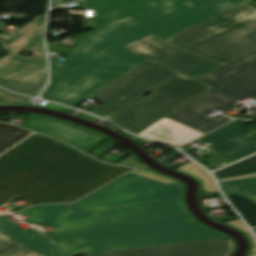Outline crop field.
I'll return each instance as SVG.
<instances>
[{"label": "crop field", "mask_w": 256, "mask_h": 256, "mask_svg": "<svg viewBox=\"0 0 256 256\" xmlns=\"http://www.w3.org/2000/svg\"><path fill=\"white\" fill-rule=\"evenodd\" d=\"M19 214L29 224L52 228L47 234L65 256L227 237L191 218L182 184L131 173L71 206H39Z\"/></svg>", "instance_id": "8a807250"}, {"label": "crop field", "mask_w": 256, "mask_h": 256, "mask_svg": "<svg viewBox=\"0 0 256 256\" xmlns=\"http://www.w3.org/2000/svg\"><path fill=\"white\" fill-rule=\"evenodd\" d=\"M82 8H95L94 30L42 96L72 107L147 59L122 46L150 34L164 40L204 21L194 0L173 7L165 0H83Z\"/></svg>", "instance_id": "ac0d7876"}, {"label": "crop field", "mask_w": 256, "mask_h": 256, "mask_svg": "<svg viewBox=\"0 0 256 256\" xmlns=\"http://www.w3.org/2000/svg\"><path fill=\"white\" fill-rule=\"evenodd\" d=\"M130 169L34 133L0 156V202L16 195L33 204L69 203Z\"/></svg>", "instance_id": "34b2d1b8"}, {"label": "crop field", "mask_w": 256, "mask_h": 256, "mask_svg": "<svg viewBox=\"0 0 256 256\" xmlns=\"http://www.w3.org/2000/svg\"><path fill=\"white\" fill-rule=\"evenodd\" d=\"M165 41L226 65L256 51V10L244 2Z\"/></svg>", "instance_id": "412701ff"}, {"label": "crop field", "mask_w": 256, "mask_h": 256, "mask_svg": "<svg viewBox=\"0 0 256 256\" xmlns=\"http://www.w3.org/2000/svg\"><path fill=\"white\" fill-rule=\"evenodd\" d=\"M196 80L213 89L176 109L167 118L205 134L231 119L220 116L211 120L204 113L212 109L223 111L245 96L256 101V52Z\"/></svg>", "instance_id": "f4fd0767"}, {"label": "crop field", "mask_w": 256, "mask_h": 256, "mask_svg": "<svg viewBox=\"0 0 256 256\" xmlns=\"http://www.w3.org/2000/svg\"><path fill=\"white\" fill-rule=\"evenodd\" d=\"M42 25L43 22L37 20L0 43V47L10 53L0 59V86L30 96H36L42 90L47 75L43 44L31 40L41 34ZM24 49L36 57L18 56Z\"/></svg>", "instance_id": "dd49c442"}, {"label": "crop field", "mask_w": 256, "mask_h": 256, "mask_svg": "<svg viewBox=\"0 0 256 256\" xmlns=\"http://www.w3.org/2000/svg\"><path fill=\"white\" fill-rule=\"evenodd\" d=\"M210 89L204 84L179 75L109 120L137 134L176 107Z\"/></svg>", "instance_id": "e52e79f7"}, {"label": "crop field", "mask_w": 256, "mask_h": 256, "mask_svg": "<svg viewBox=\"0 0 256 256\" xmlns=\"http://www.w3.org/2000/svg\"><path fill=\"white\" fill-rule=\"evenodd\" d=\"M176 73L148 59L89 97L103 102L90 112L109 118Z\"/></svg>", "instance_id": "d8731c3e"}, {"label": "crop field", "mask_w": 256, "mask_h": 256, "mask_svg": "<svg viewBox=\"0 0 256 256\" xmlns=\"http://www.w3.org/2000/svg\"><path fill=\"white\" fill-rule=\"evenodd\" d=\"M125 48L153 59L191 78H195L220 66L161 42L151 36L129 44Z\"/></svg>", "instance_id": "5a996713"}, {"label": "crop field", "mask_w": 256, "mask_h": 256, "mask_svg": "<svg viewBox=\"0 0 256 256\" xmlns=\"http://www.w3.org/2000/svg\"><path fill=\"white\" fill-rule=\"evenodd\" d=\"M0 256H64L46 233L0 216Z\"/></svg>", "instance_id": "3316defc"}, {"label": "crop field", "mask_w": 256, "mask_h": 256, "mask_svg": "<svg viewBox=\"0 0 256 256\" xmlns=\"http://www.w3.org/2000/svg\"><path fill=\"white\" fill-rule=\"evenodd\" d=\"M254 119L241 118L228 123L196 142L232 162L256 152V130L245 126Z\"/></svg>", "instance_id": "28ad6ade"}, {"label": "crop field", "mask_w": 256, "mask_h": 256, "mask_svg": "<svg viewBox=\"0 0 256 256\" xmlns=\"http://www.w3.org/2000/svg\"><path fill=\"white\" fill-rule=\"evenodd\" d=\"M232 251L233 243L227 237L90 254L87 256H229Z\"/></svg>", "instance_id": "d1516ede"}, {"label": "crop field", "mask_w": 256, "mask_h": 256, "mask_svg": "<svg viewBox=\"0 0 256 256\" xmlns=\"http://www.w3.org/2000/svg\"><path fill=\"white\" fill-rule=\"evenodd\" d=\"M22 127L60 139L85 152L107 139L95 132L73 124L34 115H31Z\"/></svg>", "instance_id": "22f410ed"}, {"label": "crop field", "mask_w": 256, "mask_h": 256, "mask_svg": "<svg viewBox=\"0 0 256 256\" xmlns=\"http://www.w3.org/2000/svg\"><path fill=\"white\" fill-rule=\"evenodd\" d=\"M138 135L168 144H185L203 134L165 118Z\"/></svg>", "instance_id": "cbeb9de0"}, {"label": "crop field", "mask_w": 256, "mask_h": 256, "mask_svg": "<svg viewBox=\"0 0 256 256\" xmlns=\"http://www.w3.org/2000/svg\"><path fill=\"white\" fill-rule=\"evenodd\" d=\"M183 0H168L169 5L173 6ZM205 19L234 7L246 0H195Z\"/></svg>", "instance_id": "5142ce71"}, {"label": "crop field", "mask_w": 256, "mask_h": 256, "mask_svg": "<svg viewBox=\"0 0 256 256\" xmlns=\"http://www.w3.org/2000/svg\"><path fill=\"white\" fill-rule=\"evenodd\" d=\"M219 184L224 193L235 192L245 194L256 202V177L219 182Z\"/></svg>", "instance_id": "d9b57169"}, {"label": "crop field", "mask_w": 256, "mask_h": 256, "mask_svg": "<svg viewBox=\"0 0 256 256\" xmlns=\"http://www.w3.org/2000/svg\"><path fill=\"white\" fill-rule=\"evenodd\" d=\"M250 227L256 226V203L241 195H226Z\"/></svg>", "instance_id": "733c2abd"}, {"label": "crop field", "mask_w": 256, "mask_h": 256, "mask_svg": "<svg viewBox=\"0 0 256 256\" xmlns=\"http://www.w3.org/2000/svg\"><path fill=\"white\" fill-rule=\"evenodd\" d=\"M31 132L0 123V153L29 135Z\"/></svg>", "instance_id": "4a817a6b"}, {"label": "crop field", "mask_w": 256, "mask_h": 256, "mask_svg": "<svg viewBox=\"0 0 256 256\" xmlns=\"http://www.w3.org/2000/svg\"><path fill=\"white\" fill-rule=\"evenodd\" d=\"M256 172V155L230 167L214 172L218 179Z\"/></svg>", "instance_id": "bc2a9ffb"}, {"label": "crop field", "mask_w": 256, "mask_h": 256, "mask_svg": "<svg viewBox=\"0 0 256 256\" xmlns=\"http://www.w3.org/2000/svg\"><path fill=\"white\" fill-rule=\"evenodd\" d=\"M178 169L186 173H189L191 175H194L197 178H199L201 181H203L205 192L219 193V191L215 186L212 176L208 174L202 167L190 162Z\"/></svg>", "instance_id": "214f88e0"}, {"label": "crop field", "mask_w": 256, "mask_h": 256, "mask_svg": "<svg viewBox=\"0 0 256 256\" xmlns=\"http://www.w3.org/2000/svg\"><path fill=\"white\" fill-rule=\"evenodd\" d=\"M29 98L18 96L0 89V104H22L25 105Z\"/></svg>", "instance_id": "92a150f3"}, {"label": "crop field", "mask_w": 256, "mask_h": 256, "mask_svg": "<svg viewBox=\"0 0 256 256\" xmlns=\"http://www.w3.org/2000/svg\"><path fill=\"white\" fill-rule=\"evenodd\" d=\"M224 223L240 230L241 232H243L245 234H247L250 241H251V245H252V249H251L250 252H256V240L252 236V234L249 232V230L245 227V225L241 222L240 219L233 220V221H228V222H224Z\"/></svg>", "instance_id": "dafd665d"}, {"label": "crop field", "mask_w": 256, "mask_h": 256, "mask_svg": "<svg viewBox=\"0 0 256 256\" xmlns=\"http://www.w3.org/2000/svg\"><path fill=\"white\" fill-rule=\"evenodd\" d=\"M74 46L62 45V44H48V50L69 53L72 54Z\"/></svg>", "instance_id": "00972430"}, {"label": "crop field", "mask_w": 256, "mask_h": 256, "mask_svg": "<svg viewBox=\"0 0 256 256\" xmlns=\"http://www.w3.org/2000/svg\"><path fill=\"white\" fill-rule=\"evenodd\" d=\"M44 107L58 109V110L65 111V112H68L71 110V109L56 105V104L49 103V102H47V104Z\"/></svg>", "instance_id": "a9b5d70f"}, {"label": "crop field", "mask_w": 256, "mask_h": 256, "mask_svg": "<svg viewBox=\"0 0 256 256\" xmlns=\"http://www.w3.org/2000/svg\"><path fill=\"white\" fill-rule=\"evenodd\" d=\"M76 3H77L78 5L72 6V7H69V8H81L82 0H81V1H77ZM56 8H61V7L59 6V7H56Z\"/></svg>", "instance_id": "4177f3b9"}, {"label": "crop field", "mask_w": 256, "mask_h": 256, "mask_svg": "<svg viewBox=\"0 0 256 256\" xmlns=\"http://www.w3.org/2000/svg\"><path fill=\"white\" fill-rule=\"evenodd\" d=\"M70 1H74V0H55L56 5L61 4V3H65V2H70Z\"/></svg>", "instance_id": "730fd06b"}, {"label": "crop field", "mask_w": 256, "mask_h": 256, "mask_svg": "<svg viewBox=\"0 0 256 256\" xmlns=\"http://www.w3.org/2000/svg\"><path fill=\"white\" fill-rule=\"evenodd\" d=\"M250 175H256V173H251V174H246V175H241V176H236V177H231V178L244 177V176H250ZM226 179H230V178H226ZM221 180H223V179H221Z\"/></svg>", "instance_id": "eef30255"}, {"label": "crop field", "mask_w": 256, "mask_h": 256, "mask_svg": "<svg viewBox=\"0 0 256 256\" xmlns=\"http://www.w3.org/2000/svg\"><path fill=\"white\" fill-rule=\"evenodd\" d=\"M123 134H124V133H123ZM125 135H127V134H125ZM127 136H129V135H127ZM129 137H131L132 139H134V140H136V141H138V142H140V143L145 142V141H143V140L137 139V138L132 137V136H129Z\"/></svg>", "instance_id": "ae1a2a85"}, {"label": "crop field", "mask_w": 256, "mask_h": 256, "mask_svg": "<svg viewBox=\"0 0 256 256\" xmlns=\"http://www.w3.org/2000/svg\"><path fill=\"white\" fill-rule=\"evenodd\" d=\"M30 135H31V134H30ZM30 135H29V136H30ZM27 137H28V136H27ZM27 137H26V138H27ZM26 138H24V139H26ZM24 139H23V140H24ZM23 140H21V141H23ZM21 141H20V142H21ZM20 142H18V143H20ZM18 143H17V144H18ZM17 144H15V145H17ZM15 145H14V146H15ZM12 147H13V146H12ZM12 147H11V148H12ZM9 149H10V148H9ZM9 149H8V150H9ZM6 151H7V150H6ZM6 151H5V152H6ZM3 153H4V152H3ZM3 153H2V154H3ZM0 155H1V154H0Z\"/></svg>", "instance_id": "d3111659"}, {"label": "crop field", "mask_w": 256, "mask_h": 256, "mask_svg": "<svg viewBox=\"0 0 256 256\" xmlns=\"http://www.w3.org/2000/svg\"><path fill=\"white\" fill-rule=\"evenodd\" d=\"M249 117H256V112L251 114V115H248Z\"/></svg>", "instance_id": "750c4746"}, {"label": "crop field", "mask_w": 256, "mask_h": 256, "mask_svg": "<svg viewBox=\"0 0 256 256\" xmlns=\"http://www.w3.org/2000/svg\"><path fill=\"white\" fill-rule=\"evenodd\" d=\"M249 256H256V254H254V253H249Z\"/></svg>", "instance_id": "bd1437ed"}, {"label": "crop field", "mask_w": 256, "mask_h": 256, "mask_svg": "<svg viewBox=\"0 0 256 256\" xmlns=\"http://www.w3.org/2000/svg\"><path fill=\"white\" fill-rule=\"evenodd\" d=\"M254 229V231L256 232V228H253Z\"/></svg>", "instance_id": "1d83c4d3"}]
</instances>
